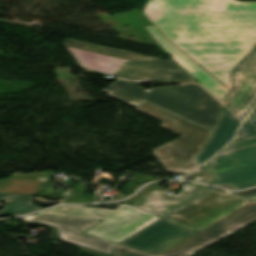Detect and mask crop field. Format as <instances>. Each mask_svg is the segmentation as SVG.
Masks as SVG:
<instances>
[{
	"instance_id": "1",
	"label": "crop field",
	"mask_w": 256,
	"mask_h": 256,
	"mask_svg": "<svg viewBox=\"0 0 256 256\" xmlns=\"http://www.w3.org/2000/svg\"><path fill=\"white\" fill-rule=\"evenodd\" d=\"M143 13L230 89L229 73L256 43V2L149 0Z\"/></svg>"
},
{
	"instance_id": "2",
	"label": "crop field",
	"mask_w": 256,
	"mask_h": 256,
	"mask_svg": "<svg viewBox=\"0 0 256 256\" xmlns=\"http://www.w3.org/2000/svg\"><path fill=\"white\" fill-rule=\"evenodd\" d=\"M102 90L134 107L145 100L211 131H215L223 110V106L199 85L168 86L145 91L118 80Z\"/></svg>"
},
{
	"instance_id": "3",
	"label": "crop field",
	"mask_w": 256,
	"mask_h": 256,
	"mask_svg": "<svg viewBox=\"0 0 256 256\" xmlns=\"http://www.w3.org/2000/svg\"><path fill=\"white\" fill-rule=\"evenodd\" d=\"M65 45L80 66L136 83L191 79L171 61H163L68 38Z\"/></svg>"
},
{
	"instance_id": "4",
	"label": "crop field",
	"mask_w": 256,
	"mask_h": 256,
	"mask_svg": "<svg viewBox=\"0 0 256 256\" xmlns=\"http://www.w3.org/2000/svg\"><path fill=\"white\" fill-rule=\"evenodd\" d=\"M135 110L164 122L159 127L181 136L152 150L168 173L187 174L199 166L194 158L210 139L213 134L211 130L208 131L145 101Z\"/></svg>"
},
{
	"instance_id": "5",
	"label": "crop field",
	"mask_w": 256,
	"mask_h": 256,
	"mask_svg": "<svg viewBox=\"0 0 256 256\" xmlns=\"http://www.w3.org/2000/svg\"><path fill=\"white\" fill-rule=\"evenodd\" d=\"M38 214L103 220L84 233L116 243L161 219L131 205L123 204H120L115 210L84 206H60Z\"/></svg>"
},
{
	"instance_id": "6",
	"label": "crop field",
	"mask_w": 256,
	"mask_h": 256,
	"mask_svg": "<svg viewBox=\"0 0 256 256\" xmlns=\"http://www.w3.org/2000/svg\"><path fill=\"white\" fill-rule=\"evenodd\" d=\"M205 167L217 177L213 186H256V136L234 141Z\"/></svg>"
},
{
	"instance_id": "7",
	"label": "crop field",
	"mask_w": 256,
	"mask_h": 256,
	"mask_svg": "<svg viewBox=\"0 0 256 256\" xmlns=\"http://www.w3.org/2000/svg\"><path fill=\"white\" fill-rule=\"evenodd\" d=\"M247 203L248 200L206 189L160 217L197 232Z\"/></svg>"
},
{
	"instance_id": "8",
	"label": "crop field",
	"mask_w": 256,
	"mask_h": 256,
	"mask_svg": "<svg viewBox=\"0 0 256 256\" xmlns=\"http://www.w3.org/2000/svg\"><path fill=\"white\" fill-rule=\"evenodd\" d=\"M256 220V202L231 212L158 256H192L213 242ZM113 256H155L118 245Z\"/></svg>"
},
{
	"instance_id": "9",
	"label": "crop field",
	"mask_w": 256,
	"mask_h": 256,
	"mask_svg": "<svg viewBox=\"0 0 256 256\" xmlns=\"http://www.w3.org/2000/svg\"><path fill=\"white\" fill-rule=\"evenodd\" d=\"M27 224H36L52 229L54 238L78 246V249L95 256H111L116 243L100 240L82 232L94 226L99 220L47 217L30 215L21 217Z\"/></svg>"
},
{
	"instance_id": "10",
	"label": "crop field",
	"mask_w": 256,
	"mask_h": 256,
	"mask_svg": "<svg viewBox=\"0 0 256 256\" xmlns=\"http://www.w3.org/2000/svg\"><path fill=\"white\" fill-rule=\"evenodd\" d=\"M232 78L234 88L227 107L243 119L256 102V48L232 72Z\"/></svg>"
},
{
	"instance_id": "11",
	"label": "crop field",
	"mask_w": 256,
	"mask_h": 256,
	"mask_svg": "<svg viewBox=\"0 0 256 256\" xmlns=\"http://www.w3.org/2000/svg\"><path fill=\"white\" fill-rule=\"evenodd\" d=\"M175 225L161 220L120 245L158 255L195 233Z\"/></svg>"
},
{
	"instance_id": "12",
	"label": "crop field",
	"mask_w": 256,
	"mask_h": 256,
	"mask_svg": "<svg viewBox=\"0 0 256 256\" xmlns=\"http://www.w3.org/2000/svg\"><path fill=\"white\" fill-rule=\"evenodd\" d=\"M151 36L170 54L171 58L194 77L203 87L217 97L223 104L229 92L222 84L200 68L183 52L169 43L155 27H145Z\"/></svg>"
},
{
	"instance_id": "13",
	"label": "crop field",
	"mask_w": 256,
	"mask_h": 256,
	"mask_svg": "<svg viewBox=\"0 0 256 256\" xmlns=\"http://www.w3.org/2000/svg\"><path fill=\"white\" fill-rule=\"evenodd\" d=\"M203 188L205 186L193 184L173 197L167 195L166 191L159 188L132 205L158 216Z\"/></svg>"
},
{
	"instance_id": "14",
	"label": "crop field",
	"mask_w": 256,
	"mask_h": 256,
	"mask_svg": "<svg viewBox=\"0 0 256 256\" xmlns=\"http://www.w3.org/2000/svg\"><path fill=\"white\" fill-rule=\"evenodd\" d=\"M240 123L241 121H239L238 118L235 117L230 111H228L227 109L224 111L220 125L214 137L197 158L201 164L206 162L231 139H233L234 134Z\"/></svg>"
},
{
	"instance_id": "15",
	"label": "crop field",
	"mask_w": 256,
	"mask_h": 256,
	"mask_svg": "<svg viewBox=\"0 0 256 256\" xmlns=\"http://www.w3.org/2000/svg\"><path fill=\"white\" fill-rule=\"evenodd\" d=\"M34 197L0 194V201L8 204L0 210V216L3 215H23L42 210V208L33 205Z\"/></svg>"
},
{
	"instance_id": "16",
	"label": "crop field",
	"mask_w": 256,
	"mask_h": 256,
	"mask_svg": "<svg viewBox=\"0 0 256 256\" xmlns=\"http://www.w3.org/2000/svg\"><path fill=\"white\" fill-rule=\"evenodd\" d=\"M30 182L31 181H28V180L9 178L4 193L27 195Z\"/></svg>"
},
{
	"instance_id": "17",
	"label": "crop field",
	"mask_w": 256,
	"mask_h": 256,
	"mask_svg": "<svg viewBox=\"0 0 256 256\" xmlns=\"http://www.w3.org/2000/svg\"><path fill=\"white\" fill-rule=\"evenodd\" d=\"M253 134H256V106L243 122L235 139L250 136Z\"/></svg>"
},
{
	"instance_id": "18",
	"label": "crop field",
	"mask_w": 256,
	"mask_h": 256,
	"mask_svg": "<svg viewBox=\"0 0 256 256\" xmlns=\"http://www.w3.org/2000/svg\"><path fill=\"white\" fill-rule=\"evenodd\" d=\"M157 188H159V182L147 185L136 196H134L122 203L131 204V203L141 199L142 197L146 196L147 194L151 193L152 191H154Z\"/></svg>"
},
{
	"instance_id": "19",
	"label": "crop field",
	"mask_w": 256,
	"mask_h": 256,
	"mask_svg": "<svg viewBox=\"0 0 256 256\" xmlns=\"http://www.w3.org/2000/svg\"><path fill=\"white\" fill-rule=\"evenodd\" d=\"M189 176L196 177L198 178L196 181L197 182H202V183H207L210 184L212 180L215 178L208 170L203 169V170H197L190 174Z\"/></svg>"
},
{
	"instance_id": "20",
	"label": "crop field",
	"mask_w": 256,
	"mask_h": 256,
	"mask_svg": "<svg viewBox=\"0 0 256 256\" xmlns=\"http://www.w3.org/2000/svg\"><path fill=\"white\" fill-rule=\"evenodd\" d=\"M40 183L41 182L32 181L28 195L37 196L38 195V191H39V187H40Z\"/></svg>"
},
{
	"instance_id": "21",
	"label": "crop field",
	"mask_w": 256,
	"mask_h": 256,
	"mask_svg": "<svg viewBox=\"0 0 256 256\" xmlns=\"http://www.w3.org/2000/svg\"><path fill=\"white\" fill-rule=\"evenodd\" d=\"M235 194L243 196L245 198H250L252 200H256V189L245 191V192H240V193H235Z\"/></svg>"
},
{
	"instance_id": "22",
	"label": "crop field",
	"mask_w": 256,
	"mask_h": 256,
	"mask_svg": "<svg viewBox=\"0 0 256 256\" xmlns=\"http://www.w3.org/2000/svg\"><path fill=\"white\" fill-rule=\"evenodd\" d=\"M7 179H8V178H7ZM7 179L0 180V193H3V192H4Z\"/></svg>"
},
{
	"instance_id": "23",
	"label": "crop field",
	"mask_w": 256,
	"mask_h": 256,
	"mask_svg": "<svg viewBox=\"0 0 256 256\" xmlns=\"http://www.w3.org/2000/svg\"><path fill=\"white\" fill-rule=\"evenodd\" d=\"M86 202L87 201H77V200H68V199H64L63 201V203H86Z\"/></svg>"
}]
</instances>
